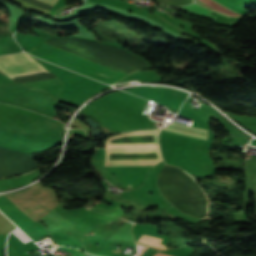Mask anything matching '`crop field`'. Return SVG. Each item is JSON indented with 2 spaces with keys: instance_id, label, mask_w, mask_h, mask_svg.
I'll return each mask as SVG.
<instances>
[{
  "instance_id": "obj_4",
  "label": "crop field",
  "mask_w": 256,
  "mask_h": 256,
  "mask_svg": "<svg viewBox=\"0 0 256 256\" xmlns=\"http://www.w3.org/2000/svg\"><path fill=\"white\" fill-rule=\"evenodd\" d=\"M41 116L42 115L32 111L0 104V120L21 128L25 127Z\"/></svg>"
},
{
  "instance_id": "obj_10",
  "label": "crop field",
  "mask_w": 256,
  "mask_h": 256,
  "mask_svg": "<svg viewBox=\"0 0 256 256\" xmlns=\"http://www.w3.org/2000/svg\"><path fill=\"white\" fill-rule=\"evenodd\" d=\"M38 1H41V2H43V3H45V4H48V5L53 6L54 3H55L57 0H38Z\"/></svg>"
},
{
  "instance_id": "obj_2",
  "label": "crop field",
  "mask_w": 256,
  "mask_h": 256,
  "mask_svg": "<svg viewBox=\"0 0 256 256\" xmlns=\"http://www.w3.org/2000/svg\"><path fill=\"white\" fill-rule=\"evenodd\" d=\"M29 53L108 84H113L127 75L125 72L46 42L36 50L32 49Z\"/></svg>"
},
{
  "instance_id": "obj_11",
  "label": "crop field",
  "mask_w": 256,
  "mask_h": 256,
  "mask_svg": "<svg viewBox=\"0 0 256 256\" xmlns=\"http://www.w3.org/2000/svg\"><path fill=\"white\" fill-rule=\"evenodd\" d=\"M154 256H170V255H165V254L157 253V254H155Z\"/></svg>"
},
{
  "instance_id": "obj_8",
  "label": "crop field",
  "mask_w": 256,
  "mask_h": 256,
  "mask_svg": "<svg viewBox=\"0 0 256 256\" xmlns=\"http://www.w3.org/2000/svg\"><path fill=\"white\" fill-rule=\"evenodd\" d=\"M17 237H19L24 243L30 241V239L19 229L13 232Z\"/></svg>"
},
{
  "instance_id": "obj_1",
  "label": "crop field",
  "mask_w": 256,
  "mask_h": 256,
  "mask_svg": "<svg viewBox=\"0 0 256 256\" xmlns=\"http://www.w3.org/2000/svg\"><path fill=\"white\" fill-rule=\"evenodd\" d=\"M147 103L148 100L121 91L90 104L84 111L120 131L147 129L154 123L141 113Z\"/></svg>"
},
{
  "instance_id": "obj_12",
  "label": "crop field",
  "mask_w": 256,
  "mask_h": 256,
  "mask_svg": "<svg viewBox=\"0 0 256 256\" xmlns=\"http://www.w3.org/2000/svg\"><path fill=\"white\" fill-rule=\"evenodd\" d=\"M251 144L256 145V140H252Z\"/></svg>"
},
{
  "instance_id": "obj_3",
  "label": "crop field",
  "mask_w": 256,
  "mask_h": 256,
  "mask_svg": "<svg viewBox=\"0 0 256 256\" xmlns=\"http://www.w3.org/2000/svg\"><path fill=\"white\" fill-rule=\"evenodd\" d=\"M44 69L26 53L0 57V71L4 76Z\"/></svg>"
},
{
  "instance_id": "obj_5",
  "label": "crop field",
  "mask_w": 256,
  "mask_h": 256,
  "mask_svg": "<svg viewBox=\"0 0 256 256\" xmlns=\"http://www.w3.org/2000/svg\"><path fill=\"white\" fill-rule=\"evenodd\" d=\"M0 102L30 109L42 114L35 97L26 93L0 91Z\"/></svg>"
},
{
  "instance_id": "obj_9",
  "label": "crop field",
  "mask_w": 256,
  "mask_h": 256,
  "mask_svg": "<svg viewBox=\"0 0 256 256\" xmlns=\"http://www.w3.org/2000/svg\"><path fill=\"white\" fill-rule=\"evenodd\" d=\"M145 249H146V247L137 245V253L134 256H140L144 252Z\"/></svg>"
},
{
  "instance_id": "obj_7",
  "label": "crop field",
  "mask_w": 256,
  "mask_h": 256,
  "mask_svg": "<svg viewBox=\"0 0 256 256\" xmlns=\"http://www.w3.org/2000/svg\"><path fill=\"white\" fill-rule=\"evenodd\" d=\"M141 239H144V240L151 241V242H154V243L162 245V242H159V241H156V240L144 237V236H142ZM141 239H139V241L137 242L138 244H141V245H144V246H147V247L149 246V247H152L154 249H160L162 247L160 245H157V244H154V243H150V242H147V241H144V240H141Z\"/></svg>"
},
{
  "instance_id": "obj_6",
  "label": "crop field",
  "mask_w": 256,
  "mask_h": 256,
  "mask_svg": "<svg viewBox=\"0 0 256 256\" xmlns=\"http://www.w3.org/2000/svg\"><path fill=\"white\" fill-rule=\"evenodd\" d=\"M182 8H185V9H188L190 11L196 12L198 14H201V15H204V16L215 19V17L210 15L214 10L213 11L208 10V9H206V8L200 6V5H197L195 3L190 5V6H186V7H182ZM214 13H216V12H214ZM217 14H219V13H217ZM219 15H222V14H219ZM222 16H225V15H222ZM225 17L229 18V16H225Z\"/></svg>"
}]
</instances>
